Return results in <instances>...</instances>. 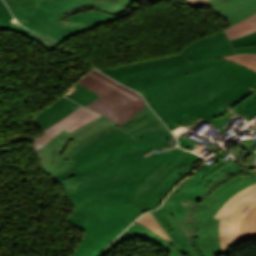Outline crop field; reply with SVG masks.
Returning a JSON list of instances; mask_svg holds the SVG:
<instances>
[{
    "mask_svg": "<svg viewBox=\"0 0 256 256\" xmlns=\"http://www.w3.org/2000/svg\"><path fill=\"white\" fill-rule=\"evenodd\" d=\"M146 139L151 141L158 148H172L176 146V143H177V140L174 138V136L170 133L169 130L141 139L139 141H136V143Z\"/></svg>",
    "mask_w": 256,
    "mask_h": 256,
    "instance_id": "obj_23",
    "label": "crop field"
},
{
    "mask_svg": "<svg viewBox=\"0 0 256 256\" xmlns=\"http://www.w3.org/2000/svg\"><path fill=\"white\" fill-rule=\"evenodd\" d=\"M100 116L102 115L84 106L80 107L51 127L44 130L42 132L44 134L34 140L35 150L38 151L43 145H45L63 129L71 133Z\"/></svg>",
    "mask_w": 256,
    "mask_h": 256,
    "instance_id": "obj_16",
    "label": "crop field"
},
{
    "mask_svg": "<svg viewBox=\"0 0 256 256\" xmlns=\"http://www.w3.org/2000/svg\"><path fill=\"white\" fill-rule=\"evenodd\" d=\"M135 0H46L41 8L14 14L25 27L51 37L65 25L59 20L75 13L83 12L82 7L96 6L97 9L110 13H120ZM81 11L77 12L76 9Z\"/></svg>",
    "mask_w": 256,
    "mask_h": 256,
    "instance_id": "obj_7",
    "label": "crop field"
},
{
    "mask_svg": "<svg viewBox=\"0 0 256 256\" xmlns=\"http://www.w3.org/2000/svg\"><path fill=\"white\" fill-rule=\"evenodd\" d=\"M137 1V0H136Z\"/></svg>",
    "mask_w": 256,
    "mask_h": 256,
    "instance_id": "obj_49",
    "label": "crop field"
},
{
    "mask_svg": "<svg viewBox=\"0 0 256 256\" xmlns=\"http://www.w3.org/2000/svg\"><path fill=\"white\" fill-rule=\"evenodd\" d=\"M255 182L256 174L232 184L215 197L220 201L202 218L199 226V240L197 245L203 256H218L223 253L218 237L219 221L212 218L230 197Z\"/></svg>",
    "mask_w": 256,
    "mask_h": 256,
    "instance_id": "obj_12",
    "label": "crop field"
},
{
    "mask_svg": "<svg viewBox=\"0 0 256 256\" xmlns=\"http://www.w3.org/2000/svg\"><path fill=\"white\" fill-rule=\"evenodd\" d=\"M187 4H191L193 2H195L196 0H185Z\"/></svg>",
    "mask_w": 256,
    "mask_h": 256,
    "instance_id": "obj_48",
    "label": "crop field"
},
{
    "mask_svg": "<svg viewBox=\"0 0 256 256\" xmlns=\"http://www.w3.org/2000/svg\"><path fill=\"white\" fill-rule=\"evenodd\" d=\"M77 83L102 95L98 100L88 105V108L119 124L131 118L146 105L142 97L134 102L125 95L87 75Z\"/></svg>",
    "mask_w": 256,
    "mask_h": 256,
    "instance_id": "obj_11",
    "label": "crop field"
},
{
    "mask_svg": "<svg viewBox=\"0 0 256 256\" xmlns=\"http://www.w3.org/2000/svg\"><path fill=\"white\" fill-rule=\"evenodd\" d=\"M227 1H230V0H210V1L206 2V3H204V5H206L209 8H213V7L218 6V5L222 4V3H225Z\"/></svg>",
    "mask_w": 256,
    "mask_h": 256,
    "instance_id": "obj_40",
    "label": "crop field"
},
{
    "mask_svg": "<svg viewBox=\"0 0 256 256\" xmlns=\"http://www.w3.org/2000/svg\"><path fill=\"white\" fill-rule=\"evenodd\" d=\"M244 169H246L244 166L240 167L236 162L233 165H231L229 162V163L223 165L222 167L218 168L217 170L213 171L211 174H209L204 179L209 182L214 176H216L218 173L222 172L223 170L226 171L231 176H233L234 174H236Z\"/></svg>",
    "mask_w": 256,
    "mask_h": 256,
    "instance_id": "obj_27",
    "label": "crop field"
},
{
    "mask_svg": "<svg viewBox=\"0 0 256 256\" xmlns=\"http://www.w3.org/2000/svg\"><path fill=\"white\" fill-rule=\"evenodd\" d=\"M201 121H203V119L199 118V117H194L193 119H191L189 122H187L186 124H184L183 126H181L180 128L172 131V133L177 136L179 134H181L182 132H184L186 129L187 130H191L192 128H194L195 126H197Z\"/></svg>",
    "mask_w": 256,
    "mask_h": 256,
    "instance_id": "obj_31",
    "label": "crop field"
},
{
    "mask_svg": "<svg viewBox=\"0 0 256 256\" xmlns=\"http://www.w3.org/2000/svg\"><path fill=\"white\" fill-rule=\"evenodd\" d=\"M157 119L156 115L151 111V109L146 105L139 113H137L133 118L127 120L126 122L120 124L119 129L129 133L153 120Z\"/></svg>",
    "mask_w": 256,
    "mask_h": 256,
    "instance_id": "obj_20",
    "label": "crop field"
},
{
    "mask_svg": "<svg viewBox=\"0 0 256 256\" xmlns=\"http://www.w3.org/2000/svg\"><path fill=\"white\" fill-rule=\"evenodd\" d=\"M140 214L142 212L134 203L104 207L93 212L75 225L86 233L71 256H97Z\"/></svg>",
    "mask_w": 256,
    "mask_h": 256,
    "instance_id": "obj_5",
    "label": "crop field"
},
{
    "mask_svg": "<svg viewBox=\"0 0 256 256\" xmlns=\"http://www.w3.org/2000/svg\"><path fill=\"white\" fill-rule=\"evenodd\" d=\"M66 96L76 100L77 102L88 105L100 97L97 93L79 85H76L66 94Z\"/></svg>",
    "mask_w": 256,
    "mask_h": 256,
    "instance_id": "obj_22",
    "label": "crop field"
},
{
    "mask_svg": "<svg viewBox=\"0 0 256 256\" xmlns=\"http://www.w3.org/2000/svg\"><path fill=\"white\" fill-rule=\"evenodd\" d=\"M88 75H90V76H92V77H94V78L100 80L101 82H103V83L109 85L110 87L114 88L115 90H117V91H119V92L125 94L126 96H128L129 98H131V99L134 100V101H135L136 99H138V98H136V97H134V96H132V95L126 93L125 91L119 89V88L116 87L115 85H113V84H111V83H109V82H107V81H105V80H103V79H101V78H99V77H97V76L91 74V73H89Z\"/></svg>",
    "mask_w": 256,
    "mask_h": 256,
    "instance_id": "obj_37",
    "label": "crop field"
},
{
    "mask_svg": "<svg viewBox=\"0 0 256 256\" xmlns=\"http://www.w3.org/2000/svg\"><path fill=\"white\" fill-rule=\"evenodd\" d=\"M179 145L181 147H184V148H187V149H190V150H192L194 147L198 148V146H199L198 144L192 143L191 141H188V140L183 139V138L179 139Z\"/></svg>",
    "mask_w": 256,
    "mask_h": 256,
    "instance_id": "obj_38",
    "label": "crop field"
},
{
    "mask_svg": "<svg viewBox=\"0 0 256 256\" xmlns=\"http://www.w3.org/2000/svg\"><path fill=\"white\" fill-rule=\"evenodd\" d=\"M136 10H138V7L118 17H111L110 13L98 10L75 14L69 18L68 24L51 38L62 43L77 33L100 26L106 22L123 18Z\"/></svg>",
    "mask_w": 256,
    "mask_h": 256,
    "instance_id": "obj_15",
    "label": "crop field"
},
{
    "mask_svg": "<svg viewBox=\"0 0 256 256\" xmlns=\"http://www.w3.org/2000/svg\"><path fill=\"white\" fill-rule=\"evenodd\" d=\"M91 73H93V74H95V75H97V76H99V77H101V78H103V79H106V80H108V81L114 83V84L117 85L119 88L125 90L126 92H128V93H130V94H132V95H134V96H136V97H138V98L141 97L137 92H135V91H133V90H130V89H128V88H126V87L120 85L119 83L113 81L112 79L108 78L107 76H105V75H103V74H101V73H99V72H97V71H95V70L92 71Z\"/></svg>",
    "mask_w": 256,
    "mask_h": 256,
    "instance_id": "obj_33",
    "label": "crop field"
},
{
    "mask_svg": "<svg viewBox=\"0 0 256 256\" xmlns=\"http://www.w3.org/2000/svg\"><path fill=\"white\" fill-rule=\"evenodd\" d=\"M196 242H197V240H196V241H193V243H194V245H195V248H196V251H197V253H198L199 256H202L201 253L199 252L198 248H197Z\"/></svg>",
    "mask_w": 256,
    "mask_h": 256,
    "instance_id": "obj_45",
    "label": "crop field"
},
{
    "mask_svg": "<svg viewBox=\"0 0 256 256\" xmlns=\"http://www.w3.org/2000/svg\"><path fill=\"white\" fill-rule=\"evenodd\" d=\"M256 116V110H254L249 116H247L244 120L245 122H249L252 118Z\"/></svg>",
    "mask_w": 256,
    "mask_h": 256,
    "instance_id": "obj_43",
    "label": "crop field"
},
{
    "mask_svg": "<svg viewBox=\"0 0 256 256\" xmlns=\"http://www.w3.org/2000/svg\"><path fill=\"white\" fill-rule=\"evenodd\" d=\"M242 146H244L246 148V150L244 151V153L241 155V159H240V163H242L243 158L253 152L256 151V140L252 141V140H247L245 142L241 143Z\"/></svg>",
    "mask_w": 256,
    "mask_h": 256,
    "instance_id": "obj_32",
    "label": "crop field"
},
{
    "mask_svg": "<svg viewBox=\"0 0 256 256\" xmlns=\"http://www.w3.org/2000/svg\"><path fill=\"white\" fill-rule=\"evenodd\" d=\"M201 165V163H199V164H195V165H192V166H181V167H179V168H177L176 170H175V172H177L178 174H180V175H182V176H187L189 173H191V171H189L192 167H194L195 169L197 168V167H199ZM194 169V170H195Z\"/></svg>",
    "mask_w": 256,
    "mask_h": 256,
    "instance_id": "obj_36",
    "label": "crop field"
},
{
    "mask_svg": "<svg viewBox=\"0 0 256 256\" xmlns=\"http://www.w3.org/2000/svg\"><path fill=\"white\" fill-rule=\"evenodd\" d=\"M190 152L156 150L122 167L63 186L73 207L66 220L78 223L100 207L134 201L138 186L163 164L173 165Z\"/></svg>",
    "mask_w": 256,
    "mask_h": 256,
    "instance_id": "obj_2",
    "label": "crop field"
},
{
    "mask_svg": "<svg viewBox=\"0 0 256 256\" xmlns=\"http://www.w3.org/2000/svg\"><path fill=\"white\" fill-rule=\"evenodd\" d=\"M149 216L153 219V221L157 224V226L160 228V230L164 233V235L168 238V240L170 241V244L172 246H174L178 251H180L175 244L172 242V240L169 238V236L167 235V233L165 232V230L162 228V226L160 225V223L157 221V219L152 215L151 212L148 213Z\"/></svg>",
    "mask_w": 256,
    "mask_h": 256,
    "instance_id": "obj_39",
    "label": "crop field"
},
{
    "mask_svg": "<svg viewBox=\"0 0 256 256\" xmlns=\"http://www.w3.org/2000/svg\"><path fill=\"white\" fill-rule=\"evenodd\" d=\"M181 53L190 63L230 54L256 53V33L229 41L222 30L189 44Z\"/></svg>",
    "mask_w": 256,
    "mask_h": 256,
    "instance_id": "obj_10",
    "label": "crop field"
},
{
    "mask_svg": "<svg viewBox=\"0 0 256 256\" xmlns=\"http://www.w3.org/2000/svg\"><path fill=\"white\" fill-rule=\"evenodd\" d=\"M28 37L37 40L39 43H41L43 46H45L50 51L58 46L57 43L51 41L49 38L41 36V35L33 33V32Z\"/></svg>",
    "mask_w": 256,
    "mask_h": 256,
    "instance_id": "obj_30",
    "label": "crop field"
},
{
    "mask_svg": "<svg viewBox=\"0 0 256 256\" xmlns=\"http://www.w3.org/2000/svg\"><path fill=\"white\" fill-rule=\"evenodd\" d=\"M140 237L147 239L155 244L160 245L165 251L169 253V256H182L181 253H179L175 248H173L170 244L156 236L155 234L148 231L146 228L138 225L133 224L130 228H128L123 235H121L118 239L114 241L112 245H110L100 256H104L106 253H108L110 250H112L114 247H116L118 244L130 239Z\"/></svg>",
    "mask_w": 256,
    "mask_h": 256,
    "instance_id": "obj_19",
    "label": "crop field"
},
{
    "mask_svg": "<svg viewBox=\"0 0 256 256\" xmlns=\"http://www.w3.org/2000/svg\"><path fill=\"white\" fill-rule=\"evenodd\" d=\"M245 150L244 147H242L241 145L238 146V148L236 149L234 155H235V158L237 159V161L239 162V159H240V155L242 154V152Z\"/></svg>",
    "mask_w": 256,
    "mask_h": 256,
    "instance_id": "obj_42",
    "label": "crop field"
},
{
    "mask_svg": "<svg viewBox=\"0 0 256 256\" xmlns=\"http://www.w3.org/2000/svg\"><path fill=\"white\" fill-rule=\"evenodd\" d=\"M183 178L184 177L173 172V174L163 182L165 185L158 192H156V194L151 199L160 205L166 194Z\"/></svg>",
    "mask_w": 256,
    "mask_h": 256,
    "instance_id": "obj_24",
    "label": "crop field"
},
{
    "mask_svg": "<svg viewBox=\"0 0 256 256\" xmlns=\"http://www.w3.org/2000/svg\"><path fill=\"white\" fill-rule=\"evenodd\" d=\"M203 122L207 123L205 120ZM203 122H201L195 129H197ZM209 125L215 127L214 125H212L210 123H209ZM215 128H217V127H215Z\"/></svg>",
    "mask_w": 256,
    "mask_h": 256,
    "instance_id": "obj_47",
    "label": "crop field"
},
{
    "mask_svg": "<svg viewBox=\"0 0 256 256\" xmlns=\"http://www.w3.org/2000/svg\"><path fill=\"white\" fill-rule=\"evenodd\" d=\"M199 159H201V157L191 153L171 167L166 164L160 167L140 185L137 190L134 203L141 209L142 212L156 208L158 205H156V203L150 198L163 186L161 183L168 176H170L177 167L181 165H192L198 163L197 160Z\"/></svg>",
    "mask_w": 256,
    "mask_h": 256,
    "instance_id": "obj_13",
    "label": "crop field"
},
{
    "mask_svg": "<svg viewBox=\"0 0 256 256\" xmlns=\"http://www.w3.org/2000/svg\"><path fill=\"white\" fill-rule=\"evenodd\" d=\"M255 173L256 169H246L231 177L223 171L209 183L193 174L152 213L185 256H198L191 240L198 239L201 218L219 201L214 197L232 183Z\"/></svg>",
    "mask_w": 256,
    "mask_h": 256,
    "instance_id": "obj_3",
    "label": "crop field"
},
{
    "mask_svg": "<svg viewBox=\"0 0 256 256\" xmlns=\"http://www.w3.org/2000/svg\"><path fill=\"white\" fill-rule=\"evenodd\" d=\"M157 149L156 146H154L151 142H149L148 140L143 141L141 143L135 144L133 146L127 147L125 148V150H135V151H140L138 153L126 156L116 162H112L110 160L105 161L103 163L94 165L92 167L80 170L78 172L73 173L71 170L62 173L60 175H57L53 178H51L53 181H55L56 183L60 184V185H65L116 167H119L120 165H123L139 156H142L150 151H153Z\"/></svg>",
    "mask_w": 256,
    "mask_h": 256,
    "instance_id": "obj_14",
    "label": "crop field"
},
{
    "mask_svg": "<svg viewBox=\"0 0 256 256\" xmlns=\"http://www.w3.org/2000/svg\"><path fill=\"white\" fill-rule=\"evenodd\" d=\"M179 137H183V138L188 139V138L186 137V135H184V134H183V135H181V136H179ZM188 140H190V139H188ZM191 141H192V140H191ZM195 143H196V142H195ZM198 144H199V143H198ZM207 147H208V146H207ZM209 148H211V149H213V150H215V151H216V149H214V148H212V147H210V146H209Z\"/></svg>",
    "mask_w": 256,
    "mask_h": 256,
    "instance_id": "obj_46",
    "label": "crop field"
},
{
    "mask_svg": "<svg viewBox=\"0 0 256 256\" xmlns=\"http://www.w3.org/2000/svg\"><path fill=\"white\" fill-rule=\"evenodd\" d=\"M118 125L102 116L71 134L63 130L37 152L44 172L53 177L69 170L75 162L70 156Z\"/></svg>",
    "mask_w": 256,
    "mask_h": 256,
    "instance_id": "obj_6",
    "label": "crop field"
},
{
    "mask_svg": "<svg viewBox=\"0 0 256 256\" xmlns=\"http://www.w3.org/2000/svg\"><path fill=\"white\" fill-rule=\"evenodd\" d=\"M0 19H14L3 0L0 1Z\"/></svg>",
    "mask_w": 256,
    "mask_h": 256,
    "instance_id": "obj_34",
    "label": "crop field"
},
{
    "mask_svg": "<svg viewBox=\"0 0 256 256\" xmlns=\"http://www.w3.org/2000/svg\"><path fill=\"white\" fill-rule=\"evenodd\" d=\"M224 101L211 86L181 106L176 107L161 119L171 131L198 115L216 125L220 132L224 133L232 120L231 117L238 115L244 119L256 109V91L231 110H228L227 105L223 103Z\"/></svg>",
    "mask_w": 256,
    "mask_h": 256,
    "instance_id": "obj_4",
    "label": "crop field"
},
{
    "mask_svg": "<svg viewBox=\"0 0 256 256\" xmlns=\"http://www.w3.org/2000/svg\"><path fill=\"white\" fill-rule=\"evenodd\" d=\"M231 62L245 65L256 71V54H239L222 57Z\"/></svg>",
    "mask_w": 256,
    "mask_h": 256,
    "instance_id": "obj_26",
    "label": "crop field"
},
{
    "mask_svg": "<svg viewBox=\"0 0 256 256\" xmlns=\"http://www.w3.org/2000/svg\"><path fill=\"white\" fill-rule=\"evenodd\" d=\"M256 153L251 154L248 159L246 160V164L244 165L246 168H256L254 165V158Z\"/></svg>",
    "mask_w": 256,
    "mask_h": 256,
    "instance_id": "obj_41",
    "label": "crop field"
},
{
    "mask_svg": "<svg viewBox=\"0 0 256 256\" xmlns=\"http://www.w3.org/2000/svg\"><path fill=\"white\" fill-rule=\"evenodd\" d=\"M74 104L75 102L63 96L58 98L35 116V125L43 131L47 127L74 111L75 108L72 107Z\"/></svg>",
    "mask_w": 256,
    "mask_h": 256,
    "instance_id": "obj_17",
    "label": "crop field"
},
{
    "mask_svg": "<svg viewBox=\"0 0 256 256\" xmlns=\"http://www.w3.org/2000/svg\"><path fill=\"white\" fill-rule=\"evenodd\" d=\"M205 1H207V0H198L195 3L191 4L190 6H192L194 8L195 6L201 4V3L205 2Z\"/></svg>",
    "mask_w": 256,
    "mask_h": 256,
    "instance_id": "obj_44",
    "label": "crop field"
},
{
    "mask_svg": "<svg viewBox=\"0 0 256 256\" xmlns=\"http://www.w3.org/2000/svg\"><path fill=\"white\" fill-rule=\"evenodd\" d=\"M0 30H12L26 36H28L31 33V31L22 27L15 20H0Z\"/></svg>",
    "mask_w": 256,
    "mask_h": 256,
    "instance_id": "obj_29",
    "label": "crop field"
},
{
    "mask_svg": "<svg viewBox=\"0 0 256 256\" xmlns=\"http://www.w3.org/2000/svg\"><path fill=\"white\" fill-rule=\"evenodd\" d=\"M166 128L159 119L129 134L116 128L73 155L71 158L77 161L71 170L75 172L108 159L114 162L126 155L135 153V151L120 149L135 144L134 141L138 139L166 130Z\"/></svg>",
    "mask_w": 256,
    "mask_h": 256,
    "instance_id": "obj_9",
    "label": "crop field"
},
{
    "mask_svg": "<svg viewBox=\"0 0 256 256\" xmlns=\"http://www.w3.org/2000/svg\"><path fill=\"white\" fill-rule=\"evenodd\" d=\"M229 40L256 32V14L224 29Z\"/></svg>",
    "mask_w": 256,
    "mask_h": 256,
    "instance_id": "obj_21",
    "label": "crop field"
},
{
    "mask_svg": "<svg viewBox=\"0 0 256 256\" xmlns=\"http://www.w3.org/2000/svg\"><path fill=\"white\" fill-rule=\"evenodd\" d=\"M136 223L146 227L148 230H150L151 232L157 234L158 236H160L162 239H164L165 241L169 242L167 240V238L163 235V233L159 230V228L156 226V224L152 221V219L148 216V214L142 215L137 221H135Z\"/></svg>",
    "mask_w": 256,
    "mask_h": 256,
    "instance_id": "obj_28",
    "label": "crop field"
},
{
    "mask_svg": "<svg viewBox=\"0 0 256 256\" xmlns=\"http://www.w3.org/2000/svg\"><path fill=\"white\" fill-rule=\"evenodd\" d=\"M217 169L213 164L210 165L209 167L206 166L205 164L203 166H201L196 172L195 174H198L200 176L205 177L206 175H208L209 173H211L213 170Z\"/></svg>",
    "mask_w": 256,
    "mask_h": 256,
    "instance_id": "obj_35",
    "label": "crop field"
},
{
    "mask_svg": "<svg viewBox=\"0 0 256 256\" xmlns=\"http://www.w3.org/2000/svg\"><path fill=\"white\" fill-rule=\"evenodd\" d=\"M215 219L223 251L244 238H256V183L229 199Z\"/></svg>",
    "mask_w": 256,
    "mask_h": 256,
    "instance_id": "obj_8",
    "label": "crop field"
},
{
    "mask_svg": "<svg viewBox=\"0 0 256 256\" xmlns=\"http://www.w3.org/2000/svg\"><path fill=\"white\" fill-rule=\"evenodd\" d=\"M240 66L222 58L190 64L179 54L100 71L139 91L161 118L211 85L231 109L256 90V72Z\"/></svg>",
    "mask_w": 256,
    "mask_h": 256,
    "instance_id": "obj_1",
    "label": "crop field"
},
{
    "mask_svg": "<svg viewBox=\"0 0 256 256\" xmlns=\"http://www.w3.org/2000/svg\"><path fill=\"white\" fill-rule=\"evenodd\" d=\"M11 12L17 13L19 11L30 9V8H38L40 7L41 0H4Z\"/></svg>",
    "mask_w": 256,
    "mask_h": 256,
    "instance_id": "obj_25",
    "label": "crop field"
},
{
    "mask_svg": "<svg viewBox=\"0 0 256 256\" xmlns=\"http://www.w3.org/2000/svg\"><path fill=\"white\" fill-rule=\"evenodd\" d=\"M211 10L232 25L256 13V0H232Z\"/></svg>",
    "mask_w": 256,
    "mask_h": 256,
    "instance_id": "obj_18",
    "label": "crop field"
}]
</instances>
